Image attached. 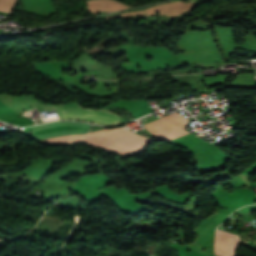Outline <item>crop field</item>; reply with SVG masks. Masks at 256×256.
Returning a JSON list of instances; mask_svg holds the SVG:
<instances>
[{"label": "crop field", "mask_w": 256, "mask_h": 256, "mask_svg": "<svg viewBox=\"0 0 256 256\" xmlns=\"http://www.w3.org/2000/svg\"><path fill=\"white\" fill-rule=\"evenodd\" d=\"M240 244L239 236L232 235L231 238V246H230V254L229 256H236L235 251L238 249V245Z\"/></svg>", "instance_id": "crop-field-6"}, {"label": "crop field", "mask_w": 256, "mask_h": 256, "mask_svg": "<svg viewBox=\"0 0 256 256\" xmlns=\"http://www.w3.org/2000/svg\"><path fill=\"white\" fill-rule=\"evenodd\" d=\"M129 132L127 130L117 128L111 130H101L92 133H88L84 136L83 140L85 142L113 136L121 133ZM152 141L148 138L140 137L135 135L132 132L104 138L92 142H88L87 144L91 146H97L101 149H106L123 156L136 153L141 151L144 147H146Z\"/></svg>", "instance_id": "crop-field-1"}, {"label": "crop field", "mask_w": 256, "mask_h": 256, "mask_svg": "<svg viewBox=\"0 0 256 256\" xmlns=\"http://www.w3.org/2000/svg\"><path fill=\"white\" fill-rule=\"evenodd\" d=\"M15 2L16 0H0V10L10 13L14 7Z\"/></svg>", "instance_id": "crop-field-5"}, {"label": "crop field", "mask_w": 256, "mask_h": 256, "mask_svg": "<svg viewBox=\"0 0 256 256\" xmlns=\"http://www.w3.org/2000/svg\"><path fill=\"white\" fill-rule=\"evenodd\" d=\"M56 109L61 118H75L103 124H117L121 118L108 111L83 109L78 103L59 105Z\"/></svg>", "instance_id": "crop-field-2"}, {"label": "crop field", "mask_w": 256, "mask_h": 256, "mask_svg": "<svg viewBox=\"0 0 256 256\" xmlns=\"http://www.w3.org/2000/svg\"><path fill=\"white\" fill-rule=\"evenodd\" d=\"M188 122L183 116L176 113L145 124L147 130L167 141L186 135L189 132L183 130Z\"/></svg>", "instance_id": "crop-field-3"}, {"label": "crop field", "mask_w": 256, "mask_h": 256, "mask_svg": "<svg viewBox=\"0 0 256 256\" xmlns=\"http://www.w3.org/2000/svg\"><path fill=\"white\" fill-rule=\"evenodd\" d=\"M82 136L81 135H66V136H60V137H54L50 139L41 140L40 142L46 143V144H63V143H72V142H82Z\"/></svg>", "instance_id": "crop-field-4"}]
</instances>
